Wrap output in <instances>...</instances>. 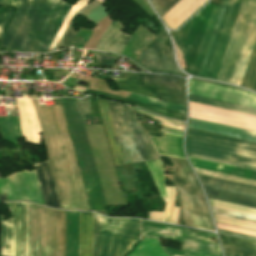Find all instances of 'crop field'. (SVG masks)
<instances>
[{
  "label": "crop field",
  "instance_id": "obj_1",
  "mask_svg": "<svg viewBox=\"0 0 256 256\" xmlns=\"http://www.w3.org/2000/svg\"><path fill=\"white\" fill-rule=\"evenodd\" d=\"M71 5L61 0H29V8L8 50L46 52Z\"/></svg>",
  "mask_w": 256,
  "mask_h": 256
},
{
  "label": "crop field",
  "instance_id": "obj_2",
  "mask_svg": "<svg viewBox=\"0 0 256 256\" xmlns=\"http://www.w3.org/2000/svg\"><path fill=\"white\" fill-rule=\"evenodd\" d=\"M187 155L256 171V144L187 130Z\"/></svg>",
  "mask_w": 256,
  "mask_h": 256
},
{
  "label": "crop field",
  "instance_id": "obj_3",
  "mask_svg": "<svg viewBox=\"0 0 256 256\" xmlns=\"http://www.w3.org/2000/svg\"><path fill=\"white\" fill-rule=\"evenodd\" d=\"M255 38L256 0H243L217 80L241 85Z\"/></svg>",
  "mask_w": 256,
  "mask_h": 256
},
{
  "label": "crop field",
  "instance_id": "obj_4",
  "mask_svg": "<svg viewBox=\"0 0 256 256\" xmlns=\"http://www.w3.org/2000/svg\"><path fill=\"white\" fill-rule=\"evenodd\" d=\"M189 117L256 132V116L189 102ZM189 118L188 127L256 142V133Z\"/></svg>",
  "mask_w": 256,
  "mask_h": 256
},
{
  "label": "crop field",
  "instance_id": "obj_5",
  "mask_svg": "<svg viewBox=\"0 0 256 256\" xmlns=\"http://www.w3.org/2000/svg\"><path fill=\"white\" fill-rule=\"evenodd\" d=\"M218 8L208 3L172 36L190 67V74L198 75Z\"/></svg>",
  "mask_w": 256,
  "mask_h": 256
},
{
  "label": "crop field",
  "instance_id": "obj_6",
  "mask_svg": "<svg viewBox=\"0 0 256 256\" xmlns=\"http://www.w3.org/2000/svg\"><path fill=\"white\" fill-rule=\"evenodd\" d=\"M108 102L124 163H133L157 157L147 135L138 125L130 108Z\"/></svg>",
  "mask_w": 256,
  "mask_h": 256
},
{
  "label": "crop field",
  "instance_id": "obj_7",
  "mask_svg": "<svg viewBox=\"0 0 256 256\" xmlns=\"http://www.w3.org/2000/svg\"><path fill=\"white\" fill-rule=\"evenodd\" d=\"M174 184L182 201L183 225L214 231L200 190L186 160L171 158Z\"/></svg>",
  "mask_w": 256,
  "mask_h": 256
},
{
  "label": "crop field",
  "instance_id": "obj_8",
  "mask_svg": "<svg viewBox=\"0 0 256 256\" xmlns=\"http://www.w3.org/2000/svg\"><path fill=\"white\" fill-rule=\"evenodd\" d=\"M242 0H222L199 77L217 79Z\"/></svg>",
  "mask_w": 256,
  "mask_h": 256
},
{
  "label": "crop field",
  "instance_id": "obj_9",
  "mask_svg": "<svg viewBox=\"0 0 256 256\" xmlns=\"http://www.w3.org/2000/svg\"><path fill=\"white\" fill-rule=\"evenodd\" d=\"M139 220L106 218L100 215L99 256H123L138 241ZM99 215L94 213V249L98 256Z\"/></svg>",
  "mask_w": 256,
  "mask_h": 256
},
{
  "label": "crop field",
  "instance_id": "obj_10",
  "mask_svg": "<svg viewBox=\"0 0 256 256\" xmlns=\"http://www.w3.org/2000/svg\"><path fill=\"white\" fill-rule=\"evenodd\" d=\"M142 235L185 242L183 253L166 249L171 256H221L218 244L204 238L207 236L216 239L213 235L144 221H142Z\"/></svg>",
  "mask_w": 256,
  "mask_h": 256
},
{
  "label": "crop field",
  "instance_id": "obj_11",
  "mask_svg": "<svg viewBox=\"0 0 256 256\" xmlns=\"http://www.w3.org/2000/svg\"><path fill=\"white\" fill-rule=\"evenodd\" d=\"M111 79L119 80L124 91L126 92L138 95L141 94L154 99H158V97L156 96H163L168 102L185 106V82L183 79L151 74L128 73V80H130L140 89H145L153 92L152 95L156 96L150 95L151 92L140 90L127 79ZM119 81H116V83L119 89L123 90Z\"/></svg>",
  "mask_w": 256,
  "mask_h": 256
},
{
  "label": "crop field",
  "instance_id": "obj_12",
  "mask_svg": "<svg viewBox=\"0 0 256 256\" xmlns=\"http://www.w3.org/2000/svg\"><path fill=\"white\" fill-rule=\"evenodd\" d=\"M13 218L5 221L0 215L2 224L0 256H26L27 203H7Z\"/></svg>",
  "mask_w": 256,
  "mask_h": 256
},
{
  "label": "crop field",
  "instance_id": "obj_13",
  "mask_svg": "<svg viewBox=\"0 0 256 256\" xmlns=\"http://www.w3.org/2000/svg\"><path fill=\"white\" fill-rule=\"evenodd\" d=\"M137 64L150 72L183 76L174 63L171 43L165 31L142 52Z\"/></svg>",
  "mask_w": 256,
  "mask_h": 256
},
{
  "label": "crop field",
  "instance_id": "obj_14",
  "mask_svg": "<svg viewBox=\"0 0 256 256\" xmlns=\"http://www.w3.org/2000/svg\"><path fill=\"white\" fill-rule=\"evenodd\" d=\"M189 93L246 106L256 107V95L251 92L196 81L192 79L189 80Z\"/></svg>",
  "mask_w": 256,
  "mask_h": 256
},
{
  "label": "crop field",
  "instance_id": "obj_15",
  "mask_svg": "<svg viewBox=\"0 0 256 256\" xmlns=\"http://www.w3.org/2000/svg\"><path fill=\"white\" fill-rule=\"evenodd\" d=\"M179 1L180 0H151L161 18ZM207 1L208 0H181L162 19L168 29L176 30Z\"/></svg>",
  "mask_w": 256,
  "mask_h": 256
},
{
  "label": "crop field",
  "instance_id": "obj_16",
  "mask_svg": "<svg viewBox=\"0 0 256 256\" xmlns=\"http://www.w3.org/2000/svg\"><path fill=\"white\" fill-rule=\"evenodd\" d=\"M145 163L162 199L166 203L164 213L149 212V220L176 224L180 208L174 207V187H164V174L160 159L147 161Z\"/></svg>",
  "mask_w": 256,
  "mask_h": 256
},
{
  "label": "crop field",
  "instance_id": "obj_17",
  "mask_svg": "<svg viewBox=\"0 0 256 256\" xmlns=\"http://www.w3.org/2000/svg\"><path fill=\"white\" fill-rule=\"evenodd\" d=\"M20 127L26 142L41 143L40 126L34 108L33 100H17Z\"/></svg>",
  "mask_w": 256,
  "mask_h": 256
},
{
  "label": "crop field",
  "instance_id": "obj_18",
  "mask_svg": "<svg viewBox=\"0 0 256 256\" xmlns=\"http://www.w3.org/2000/svg\"><path fill=\"white\" fill-rule=\"evenodd\" d=\"M122 28L119 20L111 21L92 49L121 53L130 39V36L120 32Z\"/></svg>",
  "mask_w": 256,
  "mask_h": 256
},
{
  "label": "crop field",
  "instance_id": "obj_19",
  "mask_svg": "<svg viewBox=\"0 0 256 256\" xmlns=\"http://www.w3.org/2000/svg\"><path fill=\"white\" fill-rule=\"evenodd\" d=\"M36 171L44 203L52 207H60L57 193L54 187L48 162H42L33 165Z\"/></svg>",
  "mask_w": 256,
  "mask_h": 256
},
{
  "label": "crop field",
  "instance_id": "obj_20",
  "mask_svg": "<svg viewBox=\"0 0 256 256\" xmlns=\"http://www.w3.org/2000/svg\"><path fill=\"white\" fill-rule=\"evenodd\" d=\"M182 137L165 133L164 138L150 136L158 154L185 159L182 151Z\"/></svg>",
  "mask_w": 256,
  "mask_h": 256
},
{
  "label": "crop field",
  "instance_id": "obj_21",
  "mask_svg": "<svg viewBox=\"0 0 256 256\" xmlns=\"http://www.w3.org/2000/svg\"><path fill=\"white\" fill-rule=\"evenodd\" d=\"M193 167L256 181V172L188 157Z\"/></svg>",
  "mask_w": 256,
  "mask_h": 256
},
{
  "label": "crop field",
  "instance_id": "obj_22",
  "mask_svg": "<svg viewBox=\"0 0 256 256\" xmlns=\"http://www.w3.org/2000/svg\"><path fill=\"white\" fill-rule=\"evenodd\" d=\"M93 213L80 212L79 256H92Z\"/></svg>",
  "mask_w": 256,
  "mask_h": 256
},
{
  "label": "crop field",
  "instance_id": "obj_23",
  "mask_svg": "<svg viewBox=\"0 0 256 256\" xmlns=\"http://www.w3.org/2000/svg\"><path fill=\"white\" fill-rule=\"evenodd\" d=\"M97 100H98V104H99V107H100L103 122H104V125H105L108 140H109V143H110V147H111V150H112L115 165L116 166L122 165L124 163H123V159H122L121 152H120V149H119V145H118V141H117L116 134H115V131H114V127H113V124H112V120H111V117H110L107 102L104 101V100H99V99H97Z\"/></svg>",
  "mask_w": 256,
  "mask_h": 256
},
{
  "label": "crop field",
  "instance_id": "obj_24",
  "mask_svg": "<svg viewBox=\"0 0 256 256\" xmlns=\"http://www.w3.org/2000/svg\"><path fill=\"white\" fill-rule=\"evenodd\" d=\"M156 36L147 29L139 26L137 32L128 41L122 54L135 61L140 51L146 47Z\"/></svg>",
  "mask_w": 256,
  "mask_h": 256
},
{
  "label": "crop field",
  "instance_id": "obj_25",
  "mask_svg": "<svg viewBox=\"0 0 256 256\" xmlns=\"http://www.w3.org/2000/svg\"><path fill=\"white\" fill-rule=\"evenodd\" d=\"M203 186L256 197V188L198 175Z\"/></svg>",
  "mask_w": 256,
  "mask_h": 256
},
{
  "label": "crop field",
  "instance_id": "obj_26",
  "mask_svg": "<svg viewBox=\"0 0 256 256\" xmlns=\"http://www.w3.org/2000/svg\"><path fill=\"white\" fill-rule=\"evenodd\" d=\"M211 209H212V213L215 214V215H220V216H224V217H229V218H234V219H238V220H243V221L256 223V217L255 216L245 215V214L231 212V211L222 210V209H217V208H213V207H211ZM215 215H213V216H214L215 220L218 221V222L232 224V225L241 226V227L256 230V224L243 222V221H238V220L229 219V218H224V217L215 216Z\"/></svg>",
  "mask_w": 256,
  "mask_h": 256
},
{
  "label": "crop field",
  "instance_id": "obj_27",
  "mask_svg": "<svg viewBox=\"0 0 256 256\" xmlns=\"http://www.w3.org/2000/svg\"><path fill=\"white\" fill-rule=\"evenodd\" d=\"M208 197L256 209V199L204 187Z\"/></svg>",
  "mask_w": 256,
  "mask_h": 256
},
{
  "label": "crop field",
  "instance_id": "obj_28",
  "mask_svg": "<svg viewBox=\"0 0 256 256\" xmlns=\"http://www.w3.org/2000/svg\"><path fill=\"white\" fill-rule=\"evenodd\" d=\"M75 90L84 92L85 89L84 88H80V87H76ZM85 93H89V94L100 96V97H104V98L121 100V101L130 103L132 105H135V106H138V107L150 110V111H152L154 113H156V111H157V113L163 114V115H167V116H169V113H171L169 117L185 120V115L184 114H180V113H176V112H172V111L163 109V110L169 112V113H167V112H165V111H163V110H161V109H159L157 107H154L156 109V111H155L153 106H151V105L139 103V102H136V101L124 99V98H121V97H117V96H113V95H109V94H105V93H101V92H97V91H93V90H89V89H86Z\"/></svg>",
  "mask_w": 256,
  "mask_h": 256
},
{
  "label": "crop field",
  "instance_id": "obj_29",
  "mask_svg": "<svg viewBox=\"0 0 256 256\" xmlns=\"http://www.w3.org/2000/svg\"><path fill=\"white\" fill-rule=\"evenodd\" d=\"M0 133L5 141L16 143L22 137L18 117L0 118Z\"/></svg>",
  "mask_w": 256,
  "mask_h": 256
},
{
  "label": "crop field",
  "instance_id": "obj_30",
  "mask_svg": "<svg viewBox=\"0 0 256 256\" xmlns=\"http://www.w3.org/2000/svg\"><path fill=\"white\" fill-rule=\"evenodd\" d=\"M189 101L195 102V103H200V104H205L209 106H214V107H219L223 109H228L232 111H237V112H242L246 114H251V115H256V109L249 108V107H244L236 104H231L227 102H222L218 100H213L209 98H204L200 96H195L189 94Z\"/></svg>",
  "mask_w": 256,
  "mask_h": 256
},
{
  "label": "crop field",
  "instance_id": "obj_31",
  "mask_svg": "<svg viewBox=\"0 0 256 256\" xmlns=\"http://www.w3.org/2000/svg\"><path fill=\"white\" fill-rule=\"evenodd\" d=\"M135 249V248H134ZM128 256H167L159 245V242L154 239L145 238L141 241L136 249L129 253Z\"/></svg>",
  "mask_w": 256,
  "mask_h": 256
},
{
  "label": "crop field",
  "instance_id": "obj_32",
  "mask_svg": "<svg viewBox=\"0 0 256 256\" xmlns=\"http://www.w3.org/2000/svg\"><path fill=\"white\" fill-rule=\"evenodd\" d=\"M27 8L28 0H19V7L17 9V12L3 37L2 47H6V51L10 41L12 40L15 32L17 31L19 25L21 24L25 16Z\"/></svg>",
  "mask_w": 256,
  "mask_h": 256
},
{
  "label": "crop field",
  "instance_id": "obj_33",
  "mask_svg": "<svg viewBox=\"0 0 256 256\" xmlns=\"http://www.w3.org/2000/svg\"><path fill=\"white\" fill-rule=\"evenodd\" d=\"M18 6L0 5V40L9 26Z\"/></svg>",
  "mask_w": 256,
  "mask_h": 256
},
{
  "label": "crop field",
  "instance_id": "obj_34",
  "mask_svg": "<svg viewBox=\"0 0 256 256\" xmlns=\"http://www.w3.org/2000/svg\"><path fill=\"white\" fill-rule=\"evenodd\" d=\"M242 86L256 91V44Z\"/></svg>",
  "mask_w": 256,
  "mask_h": 256
},
{
  "label": "crop field",
  "instance_id": "obj_35",
  "mask_svg": "<svg viewBox=\"0 0 256 256\" xmlns=\"http://www.w3.org/2000/svg\"><path fill=\"white\" fill-rule=\"evenodd\" d=\"M220 234L221 242L228 245L256 250V241Z\"/></svg>",
  "mask_w": 256,
  "mask_h": 256
},
{
  "label": "crop field",
  "instance_id": "obj_36",
  "mask_svg": "<svg viewBox=\"0 0 256 256\" xmlns=\"http://www.w3.org/2000/svg\"><path fill=\"white\" fill-rule=\"evenodd\" d=\"M89 2V0H79L76 4H74L68 13L66 19L64 20L62 26L60 27L58 33L56 34L54 40L52 41L50 47L55 48L57 42L59 41L61 35L63 34L65 28L67 27L69 21L71 18L77 13V11L82 8L84 5H86Z\"/></svg>",
  "mask_w": 256,
  "mask_h": 256
},
{
  "label": "crop field",
  "instance_id": "obj_37",
  "mask_svg": "<svg viewBox=\"0 0 256 256\" xmlns=\"http://www.w3.org/2000/svg\"><path fill=\"white\" fill-rule=\"evenodd\" d=\"M137 101H141V102H145V103H148V104L160 106V107H163V108L171 109V110H174V111L181 112V113L185 114V107H183V106L174 105V104H170V103H167V102H161V101H158V100H154V99H150V98H146V97H142V96H139L137 98Z\"/></svg>",
  "mask_w": 256,
  "mask_h": 256
},
{
  "label": "crop field",
  "instance_id": "obj_38",
  "mask_svg": "<svg viewBox=\"0 0 256 256\" xmlns=\"http://www.w3.org/2000/svg\"><path fill=\"white\" fill-rule=\"evenodd\" d=\"M194 169H195L196 173H199V174L208 175V176H212V177L222 178V179H226V180H231V181H235V182H240V183L256 186L255 181L232 177V176L214 173V172H210V171L200 170V169H196V168H194Z\"/></svg>",
  "mask_w": 256,
  "mask_h": 256
},
{
  "label": "crop field",
  "instance_id": "obj_39",
  "mask_svg": "<svg viewBox=\"0 0 256 256\" xmlns=\"http://www.w3.org/2000/svg\"><path fill=\"white\" fill-rule=\"evenodd\" d=\"M223 245L226 256H256V251Z\"/></svg>",
  "mask_w": 256,
  "mask_h": 256
},
{
  "label": "crop field",
  "instance_id": "obj_40",
  "mask_svg": "<svg viewBox=\"0 0 256 256\" xmlns=\"http://www.w3.org/2000/svg\"><path fill=\"white\" fill-rule=\"evenodd\" d=\"M95 57L93 59L97 61L100 65L109 67L111 66L118 58L109 55V54H103V53H95Z\"/></svg>",
  "mask_w": 256,
  "mask_h": 256
},
{
  "label": "crop field",
  "instance_id": "obj_41",
  "mask_svg": "<svg viewBox=\"0 0 256 256\" xmlns=\"http://www.w3.org/2000/svg\"><path fill=\"white\" fill-rule=\"evenodd\" d=\"M216 224H217V227L220 228V229L256 236L255 231L245 230V229L236 228V227L227 226V225H222V224H218V223H216Z\"/></svg>",
  "mask_w": 256,
  "mask_h": 256
},
{
  "label": "crop field",
  "instance_id": "obj_42",
  "mask_svg": "<svg viewBox=\"0 0 256 256\" xmlns=\"http://www.w3.org/2000/svg\"><path fill=\"white\" fill-rule=\"evenodd\" d=\"M76 34L77 33L73 30V28L71 26L68 33L66 34L63 41L61 42L60 46L65 47V48H69V46L72 43L73 39L75 38Z\"/></svg>",
  "mask_w": 256,
  "mask_h": 256
},
{
  "label": "crop field",
  "instance_id": "obj_43",
  "mask_svg": "<svg viewBox=\"0 0 256 256\" xmlns=\"http://www.w3.org/2000/svg\"><path fill=\"white\" fill-rule=\"evenodd\" d=\"M79 101H80L82 113L90 115L88 98H86L84 100L79 99Z\"/></svg>",
  "mask_w": 256,
  "mask_h": 256
},
{
  "label": "crop field",
  "instance_id": "obj_44",
  "mask_svg": "<svg viewBox=\"0 0 256 256\" xmlns=\"http://www.w3.org/2000/svg\"><path fill=\"white\" fill-rule=\"evenodd\" d=\"M219 232L221 233H225V234H230V235H235V236H239V237H244V238H248V239H251L250 236H246V235H242V234H237V233H233V232H228V231H224V230H220L218 229ZM253 240H256L255 237H252Z\"/></svg>",
  "mask_w": 256,
  "mask_h": 256
},
{
  "label": "crop field",
  "instance_id": "obj_45",
  "mask_svg": "<svg viewBox=\"0 0 256 256\" xmlns=\"http://www.w3.org/2000/svg\"><path fill=\"white\" fill-rule=\"evenodd\" d=\"M132 109H133V111H135V110H134L135 108L132 107ZM137 110H138V109H137ZM135 112H137V111H135ZM137 113H139V112H137ZM142 113H143V112H142ZM142 113H140V114H142ZM145 113H146V112H145ZM148 114H149V113H148ZM142 115L147 116V115H145V114H142ZM151 115H152V114H151ZM151 115H150V116H151ZM150 116H147V117H150ZM153 116H154V115H153ZM150 118L155 119V120H159V121H163V120H164V119H163V120L156 119V118H153V117H150ZM165 119H166V118H165ZM167 121H168V120H167ZM167 121H163V122H167ZM169 123H174V124H178V125L184 126V123L177 122V121H172V120H170Z\"/></svg>",
  "mask_w": 256,
  "mask_h": 256
},
{
  "label": "crop field",
  "instance_id": "obj_46",
  "mask_svg": "<svg viewBox=\"0 0 256 256\" xmlns=\"http://www.w3.org/2000/svg\"><path fill=\"white\" fill-rule=\"evenodd\" d=\"M159 125L160 126H164V127H168V128H173V129H180V130H183V128H184L182 126H178V125H174V124H169V123H163V122H160Z\"/></svg>",
  "mask_w": 256,
  "mask_h": 256
},
{
  "label": "crop field",
  "instance_id": "obj_47",
  "mask_svg": "<svg viewBox=\"0 0 256 256\" xmlns=\"http://www.w3.org/2000/svg\"><path fill=\"white\" fill-rule=\"evenodd\" d=\"M161 132H167V133L183 135V133L180 132V131H176V130H172V129H168V128H164V127L161 128Z\"/></svg>",
  "mask_w": 256,
  "mask_h": 256
},
{
  "label": "crop field",
  "instance_id": "obj_48",
  "mask_svg": "<svg viewBox=\"0 0 256 256\" xmlns=\"http://www.w3.org/2000/svg\"><path fill=\"white\" fill-rule=\"evenodd\" d=\"M0 3L18 5V0H0Z\"/></svg>",
  "mask_w": 256,
  "mask_h": 256
}]
</instances>
